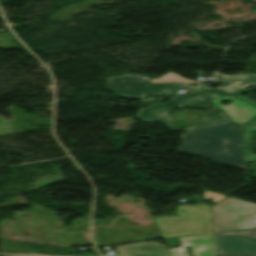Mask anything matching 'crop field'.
Masks as SVG:
<instances>
[{
    "mask_svg": "<svg viewBox=\"0 0 256 256\" xmlns=\"http://www.w3.org/2000/svg\"><path fill=\"white\" fill-rule=\"evenodd\" d=\"M216 256H223V255H216Z\"/></svg>",
    "mask_w": 256,
    "mask_h": 256,
    "instance_id": "crop-field-17",
    "label": "crop field"
},
{
    "mask_svg": "<svg viewBox=\"0 0 256 256\" xmlns=\"http://www.w3.org/2000/svg\"><path fill=\"white\" fill-rule=\"evenodd\" d=\"M241 126L222 121L187 131L178 151L207 157L215 163L246 169Z\"/></svg>",
    "mask_w": 256,
    "mask_h": 256,
    "instance_id": "crop-field-1",
    "label": "crop field"
},
{
    "mask_svg": "<svg viewBox=\"0 0 256 256\" xmlns=\"http://www.w3.org/2000/svg\"><path fill=\"white\" fill-rule=\"evenodd\" d=\"M106 80L109 88L114 92L136 98H142L147 94L173 96L176 90L192 87L186 83L150 84V77L132 74L110 76Z\"/></svg>",
    "mask_w": 256,
    "mask_h": 256,
    "instance_id": "crop-field-4",
    "label": "crop field"
},
{
    "mask_svg": "<svg viewBox=\"0 0 256 256\" xmlns=\"http://www.w3.org/2000/svg\"><path fill=\"white\" fill-rule=\"evenodd\" d=\"M221 120L231 121L225 112H223L221 109H219L218 107L215 106L205 117H203L202 120H200L192 128H189L187 130L200 128L202 126L209 125L213 122L221 121Z\"/></svg>",
    "mask_w": 256,
    "mask_h": 256,
    "instance_id": "crop-field-12",
    "label": "crop field"
},
{
    "mask_svg": "<svg viewBox=\"0 0 256 256\" xmlns=\"http://www.w3.org/2000/svg\"><path fill=\"white\" fill-rule=\"evenodd\" d=\"M224 197H226V196H222V195H219V194L212 193V192H209V191H205V190H204V199H206V198H212V199H214V200H213V203L216 202V201H218V200H220V199H222V198H224Z\"/></svg>",
    "mask_w": 256,
    "mask_h": 256,
    "instance_id": "crop-field-15",
    "label": "crop field"
},
{
    "mask_svg": "<svg viewBox=\"0 0 256 256\" xmlns=\"http://www.w3.org/2000/svg\"><path fill=\"white\" fill-rule=\"evenodd\" d=\"M1 256H51V255H46V254H7V253H0Z\"/></svg>",
    "mask_w": 256,
    "mask_h": 256,
    "instance_id": "crop-field-16",
    "label": "crop field"
},
{
    "mask_svg": "<svg viewBox=\"0 0 256 256\" xmlns=\"http://www.w3.org/2000/svg\"><path fill=\"white\" fill-rule=\"evenodd\" d=\"M180 210L185 212H179ZM177 214L180 217L154 218L163 238L211 234L207 205L178 206Z\"/></svg>",
    "mask_w": 256,
    "mask_h": 256,
    "instance_id": "crop-field-2",
    "label": "crop field"
},
{
    "mask_svg": "<svg viewBox=\"0 0 256 256\" xmlns=\"http://www.w3.org/2000/svg\"><path fill=\"white\" fill-rule=\"evenodd\" d=\"M247 91H251V90L242 89V90L236 91L234 93L228 94V96L240 98V99L256 106L255 99H248V98L241 96L242 93L247 92ZM251 131H256V118L253 119L251 122H249L247 125L243 126V134H244V140H245V146H246L247 162H256V155H253Z\"/></svg>",
    "mask_w": 256,
    "mask_h": 256,
    "instance_id": "crop-field-11",
    "label": "crop field"
},
{
    "mask_svg": "<svg viewBox=\"0 0 256 256\" xmlns=\"http://www.w3.org/2000/svg\"><path fill=\"white\" fill-rule=\"evenodd\" d=\"M116 248L121 256H171L166 246L157 242L131 243Z\"/></svg>",
    "mask_w": 256,
    "mask_h": 256,
    "instance_id": "crop-field-10",
    "label": "crop field"
},
{
    "mask_svg": "<svg viewBox=\"0 0 256 256\" xmlns=\"http://www.w3.org/2000/svg\"><path fill=\"white\" fill-rule=\"evenodd\" d=\"M225 99H229L233 102L227 106L221 105L220 102ZM212 102H214L219 108L225 111L234 122L244 124L252 119L254 116H256L255 107L227 96L213 100Z\"/></svg>",
    "mask_w": 256,
    "mask_h": 256,
    "instance_id": "crop-field-9",
    "label": "crop field"
},
{
    "mask_svg": "<svg viewBox=\"0 0 256 256\" xmlns=\"http://www.w3.org/2000/svg\"><path fill=\"white\" fill-rule=\"evenodd\" d=\"M212 208L214 233L256 228V204L226 198Z\"/></svg>",
    "mask_w": 256,
    "mask_h": 256,
    "instance_id": "crop-field-3",
    "label": "crop field"
},
{
    "mask_svg": "<svg viewBox=\"0 0 256 256\" xmlns=\"http://www.w3.org/2000/svg\"><path fill=\"white\" fill-rule=\"evenodd\" d=\"M182 245L171 249L172 256H187L183 247H191L194 256H212L214 239L211 235L180 238Z\"/></svg>",
    "mask_w": 256,
    "mask_h": 256,
    "instance_id": "crop-field-8",
    "label": "crop field"
},
{
    "mask_svg": "<svg viewBox=\"0 0 256 256\" xmlns=\"http://www.w3.org/2000/svg\"><path fill=\"white\" fill-rule=\"evenodd\" d=\"M199 90L195 89L177 98L171 99L170 103L165 105L158 103L152 107L139 109V112L136 118L142 119L145 122L160 121L168 125L170 130H174V131L181 130L171 124V120L169 119L167 114L173 108H178V107L197 108V107L212 106L208 101L209 97H207L205 94H203Z\"/></svg>",
    "mask_w": 256,
    "mask_h": 256,
    "instance_id": "crop-field-5",
    "label": "crop field"
},
{
    "mask_svg": "<svg viewBox=\"0 0 256 256\" xmlns=\"http://www.w3.org/2000/svg\"><path fill=\"white\" fill-rule=\"evenodd\" d=\"M169 82H186V83H198L201 84L200 82L192 81L185 79L181 76L175 75L173 72H170L163 77L159 79H152L150 80V83H169Z\"/></svg>",
    "mask_w": 256,
    "mask_h": 256,
    "instance_id": "crop-field-13",
    "label": "crop field"
},
{
    "mask_svg": "<svg viewBox=\"0 0 256 256\" xmlns=\"http://www.w3.org/2000/svg\"><path fill=\"white\" fill-rule=\"evenodd\" d=\"M217 235L256 238V229L226 232Z\"/></svg>",
    "mask_w": 256,
    "mask_h": 256,
    "instance_id": "crop-field-14",
    "label": "crop field"
},
{
    "mask_svg": "<svg viewBox=\"0 0 256 256\" xmlns=\"http://www.w3.org/2000/svg\"><path fill=\"white\" fill-rule=\"evenodd\" d=\"M214 77L222 78L220 87L209 88L202 85L200 87L203 90H205L210 96H212L214 99L242 88H246L249 86H256V74L241 73L235 76H226V75L217 73Z\"/></svg>",
    "mask_w": 256,
    "mask_h": 256,
    "instance_id": "crop-field-6",
    "label": "crop field"
},
{
    "mask_svg": "<svg viewBox=\"0 0 256 256\" xmlns=\"http://www.w3.org/2000/svg\"><path fill=\"white\" fill-rule=\"evenodd\" d=\"M218 254L256 256V239L218 236Z\"/></svg>",
    "mask_w": 256,
    "mask_h": 256,
    "instance_id": "crop-field-7",
    "label": "crop field"
}]
</instances>
